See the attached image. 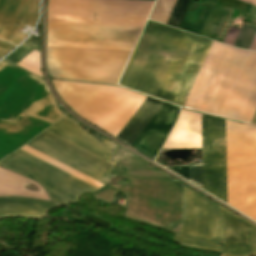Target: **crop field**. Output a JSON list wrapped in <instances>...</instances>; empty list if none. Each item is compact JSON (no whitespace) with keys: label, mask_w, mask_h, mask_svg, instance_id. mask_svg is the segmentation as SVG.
Listing matches in <instances>:
<instances>
[{"label":"crop field","mask_w":256,"mask_h":256,"mask_svg":"<svg viewBox=\"0 0 256 256\" xmlns=\"http://www.w3.org/2000/svg\"><path fill=\"white\" fill-rule=\"evenodd\" d=\"M52 83L63 101L80 117L105 86L58 80H52ZM145 98L126 89L106 85L82 118L116 137ZM161 104L147 97L116 138L131 146ZM178 111V108L163 103L132 147L135 145L155 156L174 125Z\"/></svg>","instance_id":"obj_1"},{"label":"crop field","mask_w":256,"mask_h":256,"mask_svg":"<svg viewBox=\"0 0 256 256\" xmlns=\"http://www.w3.org/2000/svg\"><path fill=\"white\" fill-rule=\"evenodd\" d=\"M212 42L148 20L120 84L182 107Z\"/></svg>","instance_id":"obj_2"},{"label":"crop field","mask_w":256,"mask_h":256,"mask_svg":"<svg viewBox=\"0 0 256 256\" xmlns=\"http://www.w3.org/2000/svg\"><path fill=\"white\" fill-rule=\"evenodd\" d=\"M131 179L132 184L126 185V188L109 183L95 196L109 202L113 194L120 190L128 198L126 218L174 232L181 220L180 188L167 179ZM196 194L183 186V226L179 235L223 243V220L218 207Z\"/></svg>","instance_id":"obj_3"},{"label":"crop field","mask_w":256,"mask_h":256,"mask_svg":"<svg viewBox=\"0 0 256 256\" xmlns=\"http://www.w3.org/2000/svg\"><path fill=\"white\" fill-rule=\"evenodd\" d=\"M227 204L256 221V127L226 120Z\"/></svg>","instance_id":"obj_4"},{"label":"crop field","mask_w":256,"mask_h":256,"mask_svg":"<svg viewBox=\"0 0 256 256\" xmlns=\"http://www.w3.org/2000/svg\"><path fill=\"white\" fill-rule=\"evenodd\" d=\"M153 2L48 0L47 22L142 27Z\"/></svg>","instance_id":"obj_5"},{"label":"crop field","mask_w":256,"mask_h":256,"mask_svg":"<svg viewBox=\"0 0 256 256\" xmlns=\"http://www.w3.org/2000/svg\"><path fill=\"white\" fill-rule=\"evenodd\" d=\"M132 51L47 47L54 78L116 84Z\"/></svg>","instance_id":"obj_6"},{"label":"crop field","mask_w":256,"mask_h":256,"mask_svg":"<svg viewBox=\"0 0 256 256\" xmlns=\"http://www.w3.org/2000/svg\"><path fill=\"white\" fill-rule=\"evenodd\" d=\"M200 73L183 107L251 122L256 111V89Z\"/></svg>","instance_id":"obj_7"},{"label":"crop field","mask_w":256,"mask_h":256,"mask_svg":"<svg viewBox=\"0 0 256 256\" xmlns=\"http://www.w3.org/2000/svg\"><path fill=\"white\" fill-rule=\"evenodd\" d=\"M141 29L47 23V46L132 50Z\"/></svg>","instance_id":"obj_8"},{"label":"crop field","mask_w":256,"mask_h":256,"mask_svg":"<svg viewBox=\"0 0 256 256\" xmlns=\"http://www.w3.org/2000/svg\"><path fill=\"white\" fill-rule=\"evenodd\" d=\"M0 164L25 176L32 175L33 180L45 187L51 199L61 204L74 203L79 195L98 190L20 150Z\"/></svg>","instance_id":"obj_9"},{"label":"crop field","mask_w":256,"mask_h":256,"mask_svg":"<svg viewBox=\"0 0 256 256\" xmlns=\"http://www.w3.org/2000/svg\"><path fill=\"white\" fill-rule=\"evenodd\" d=\"M203 189L226 202L225 120L202 114Z\"/></svg>","instance_id":"obj_10"},{"label":"crop field","mask_w":256,"mask_h":256,"mask_svg":"<svg viewBox=\"0 0 256 256\" xmlns=\"http://www.w3.org/2000/svg\"><path fill=\"white\" fill-rule=\"evenodd\" d=\"M26 145L103 184L115 177L107 175L114 165L46 131Z\"/></svg>","instance_id":"obj_11"},{"label":"crop field","mask_w":256,"mask_h":256,"mask_svg":"<svg viewBox=\"0 0 256 256\" xmlns=\"http://www.w3.org/2000/svg\"><path fill=\"white\" fill-rule=\"evenodd\" d=\"M37 3L38 0H0V39L17 45L26 36L19 33L23 26L33 27L35 23Z\"/></svg>","instance_id":"obj_12"},{"label":"crop field","mask_w":256,"mask_h":256,"mask_svg":"<svg viewBox=\"0 0 256 256\" xmlns=\"http://www.w3.org/2000/svg\"><path fill=\"white\" fill-rule=\"evenodd\" d=\"M224 217L225 247L222 256L256 255V227L220 207Z\"/></svg>","instance_id":"obj_13"},{"label":"crop field","mask_w":256,"mask_h":256,"mask_svg":"<svg viewBox=\"0 0 256 256\" xmlns=\"http://www.w3.org/2000/svg\"><path fill=\"white\" fill-rule=\"evenodd\" d=\"M46 131L106 161H108L109 158L112 156L117 146L106 139L101 143L98 142L84 130L76 126L67 116ZM110 163L115 164L113 162Z\"/></svg>","instance_id":"obj_14"},{"label":"crop field","mask_w":256,"mask_h":256,"mask_svg":"<svg viewBox=\"0 0 256 256\" xmlns=\"http://www.w3.org/2000/svg\"><path fill=\"white\" fill-rule=\"evenodd\" d=\"M164 148H201V114L182 109Z\"/></svg>","instance_id":"obj_15"},{"label":"crop field","mask_w":256,"mask_h":256,"mask_svg":"<svg viewBox=\"0 0 256 256\" xmlns=\"http://www.w3.org/2000/svg\"><path fill=\"white\" fill-rule=\"evenodd\" d=\"M57 206V204L25 198H0V218L11 216L39 218Z\"/></svg>","instance_id":"obj_16"},{"label":"crop field","mask_w":256,"mask_h":256,"mask_svg":"<svg viewBox=\"0 0 256 256\" xmlns=\"http://www.w3.org/2000/svg\"><path fill=\"white\" fill-rule=\"evenodd\" d=\"M18 180H25L31 183L35 187V191L32 193H21L16 186ZM0 195H11V196H25L40 199H48L45 191L33 181L11 173L7 170L0 168Z\"/></svg>","instance_id":"obj_17"},{"label":"crop field","mask_w":256,"mask_h":256,"mask_svg":"<svg viewBox=\"0 0 256 256\" xmlns=\"http://www.w3.org/2000/svg\"><path fill=\"white\" fill-rule=\"evenodd\" d=\"M212 7L213 6H189L178 28L199 35Z\"/></svg>","instance_id":"obj_18"},{"label":"crop field","mask_w":256,"mask_h":256,"mask_svg":"<svg viewBox=\"0 0 256 256\" xmlns=\"http://www.w3.org/2000/svg\"><path fill=\"white\" fill-rule=\"evenodd\" d=\"M20 149H22V150H24V151H26V152L34 155V156H36V157L46 161L47 163H49V164H51V165H53V166H55V167L65 171V172L71 174L72 176H74V177H76V178H78V179H80V180H82V181H84V182H86V183L96 187V188H99L100 186L103 185V184H101V183H99V182H97V181H95V180H93V179H91V178H89V177H87V176H85V175H83V174H81V173H79V172H77V171H75V170L65 166L64 164H62V163H60V162H58V161H56V160H54V159H52L50 157H48V156L38 152V151H36V150L26 146V145L23 146Z\"/></svg>","instance_id":"obj_19"},{"label":"crop field","mask_w":256,"mask_h":256,"mask_svg":"<svg viewBox=\"0 0 256 256\" xmlns=\"http://www.w3.org/2000/svg\"><path fill=\"white\" fill-rule=\"evenodd\" d=\"M176 0H157L149 19L166 23Z\"/></svg>","instance_id":"obj_20"},{"label":"crop field","mask_w":256,"mask_h":256,"mask_svg":"<svg viewBox=\"0 0 256 256\" xmlns=\"http://www.w3.org/2000/svg\"><path fill=\"white\" fill-rule=\"evenodd\" d=\"M16 65L42 77L40 68V53L33 50Z\"/></svg>","instance_id":"obj_21"},{"label":"crop field","mask_w":256,"mask_h":256,"mask_svg":"<svg viewBox=\"0 0 256 256\" xmlns=\"http://www.w3.org/2000/svg\"><path fill=\"white\" fill-rule=\"evenodd\" d=\"M255 31L256 27L244 23L233 46L247 49Z\"/></svg>","instance_id":"obj_22"},{"label":"crop field","mask_w":256,"mask_h":256,"mask_svg":"<svg viewBox=\"0 0 256 256\" xmlns=\"http://www.w3.org/2000/svg\"><path fill=\"white\" fill-rule=\"evenodd\" d=\"M189 2L190 0H177L166 24L177 28Z\"/></svg>","instance_id":"obj_23"},{"label":"crop field","mask_w":256,"mask_h":256,"mask_svg":"<svg viewBox=\"0 0 256 256\" xmlns=\"http://www.w3.org/2000/svg\"><path fill=\"white\" fill-rule=\"evenodd\" d=\"M174 239H178L184 243H187L189 245L195 246L199 249H204V250H211V251H219L222 252L223 251V247L221 246H217V245H213V244H209V243H203V242H197V241H193L190 239H186L183 237H179L176 236Z\"/></svg>","instance_id":"obj_24"},{"label":"crop field","mask_w":256,"mask_h":256,"mask_svg":"<svg viewBox=\"0 0 256 256\" xmlns=\"http://www.w3.org/2000/svg\"><path fill=\"white\" fill-rule=\"evenodd\" d=\"M189 181L202 187L201 163L189 166Z\"/></svg>","instance_id":"obj_25"},{"label":"crop field","mask_w":256,"mask_h":256,"mask_svg":"<svg viewBox=\"0 0 256 256\" xmlns=\"http://www.w3.org/2000/svg\"><path fill=\"white\" fill-rule=\"evenodd\" d=\"M30 51H32V49H30L24 45H21L15 51H13L9 56H7L5 59L16 64L24 56H26Z\"/></svg>","instance_id":"obj_26"},{"label":"crop field","mask_w":256,"mask_h":256,"mask_svg":"<svg viewBox=\"0 0 256 256\" xmlns=\"http://www.w3.org/2000/svg\"><path fill=\"white\" fill-rule=\"evenodd\" d=\"M239 29H235L230 27L225 39H224V43L229 44V45H233L237 35H238Z\"/></svg>","instance_id":"obj_27"},{"label":"crop field","mask_w":256,"mask_h":256,"mask_svg":"<svg viewBox=\"0 0 256 256\" xmlns=\"http://www.w3.org/2000/svg\"><path fill=\"white\" fill-rule=\"evenodd\" d=\"M172 171H174L175 173L181 175L182 177L188 179V166H183V167H171L168 168Z\"/></svg>","instance_id":"obj_28"},{"label":"crop field","mask_w":256,"mask_h":256,"mask_svg":"<svg viewBox=\"0 0 256 256\" xmlns=\"http://www.w3.org/2000/svg\"><path fill=\"white\" fill-rule=\"evenodd\" d=\"M23 44H25V45H27V46H29V47L39 51V40H37V39H35V38L31 37V36Z\"/></svg>","instance_id":"obj_29"},{"label":"crop field","mask_w":256,"mask_h":256,"mask_svg":"<svg viewBox=\"0 0 256 256\" xmlns=\"http://www.w3.org/2000/svg\"><path fill=\"white\" fill-rule=\"evenodd\" d=\"M248 49L256 51V33Z\"/></svg>","instance_id":"obj_30"},{"label":"crop field","mask_w":256,"mask_h":256,"mask_svg":"<svg viewBox=\"0 0 256 256\" xmlns=\"http://www.w3.org/2000/svg\"><path fill=\"white\" fill-rule=\"evenodd\" d=\"M0 47L5 48V49H8V50L14 48L13 46H10V45L5 44V43H2V42H0Z\"/></svg>","instance_id":"obj_31"},{"label":"crop field","mask_w":256,"mask_h":256,"mask_svg":"<svg viewBox=\"0 0 256 256\" xmlns=\"http://www.w3.org/2000/svg\"><path fill=\"white\" fill-rule=\"evenodd\" d=\"M7 52H8V50H5V49L0 48V58H1L5 53H7Z\"/></svg>","instance_id":"obj_32"},{"label":"crop field","mask_w":256,"mask_h":256,"mask_svg":"<svg viewBox=\"0 0 256 256\" xmlns=\"http://www.w3.org/2000/svg\"><path fill=\"white\" fill-rule=\"evenodd\" d=\"M242 1H244L246 3L251 2L253 5L256 6V0H242Z\"/></svg>","instance_id":"obj_33"}]
</instances>
